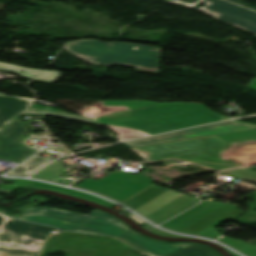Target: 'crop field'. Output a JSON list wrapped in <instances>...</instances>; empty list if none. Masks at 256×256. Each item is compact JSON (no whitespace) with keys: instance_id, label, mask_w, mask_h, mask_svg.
Wrapping results in <instances>:
<instances>
[{"instance_id":"1","label":"crop field","mask_w":256,"mask_h":256,"mask_svg":"<svg viewBox=\"0 0 256 256\" xmlns=\"http://www.w3.org/2000/svg\"><path fill=\"white\" fill-rule=\"evenodd\" d=\"M103 103L104 106H124L128 110L110 113L93 120L103 125L138 131L118 136L116 139L119 141L222 120L202 104L153 103L151 101Z\"/></svg>"},{"instance_id":"2","label":"crop field","mask_w":256,"mask_h":256,"mask_svg":"<svg viewBox=\"0 0 256 256\" xmlns=\"http://www.w3.org/2000/svg\"><path fill=\"white\" fill-rule=\"evenodd\" d=\"M20 219L53 225L59 229L115 236L123 242L157 256H165L191 244H166L147 239L130 230L116 218L95 210L88 215L54 208H27Z\"/></svg>"},{"instance_id":"3","label":"crop field","mask_w":256,"mask_h":256,"mask_svg":"<svg viewBox=\"0 0 256 256\" xmlns=\"http://www.w3.org/2000/svg\"><path fill=\"white\" fill-rule=\"evenodd\" d=\"M245 140H256V130L215 137L154 144L136 147V149H142L150 153V158L147 162L178 159L220 171L242 166V164L236 160H222L219 154L227 144Z\"/></svg>"},{"instance_id":"4","label":"crop field","mask_w":256,"mask_h":256,"mask_svg":"<svg viewBox=\"0 0 256 256\" xmlns=\"http://www.w3.org/2000/svg\"><path fill=\"white\" fill-rule=\"evenodd\" d=\"M64 50L94 65L130 66L136 67L137 72L152 74L159 73L162 52V49L157 47L100 41L71 43L67 44Z\"/></svg>"},{"instance_id":"5","label":"crop field","mask_w":256,"mask_h":256,"mask_svg":"<svg viewBox=\"0 0 256 256\" xmlns=\"http://www.w3.org/2000/svg\"><path fill=\"white\" fill-rule=\"evenodd\" d=\"M198 202L183 193L150 186L123 204L159 224Z\"/></svg>"},{"instance_id":"6","label":"crop field","mask_w":256,"mask_h":256,"mask_svg":"<svg viewBox=\"0 0 256 256\" xmlns=\"http://www.w3.org/2000/svg\"><path fill=\"white\" fill-rule=\"evenodd\" d=\"M78 182L80 180L72 186H75ZM151 184H153V181L143 174L133 175L123 171L109 173L101 180L87 179L76 187L92 190L123 203Z\"/></svg>"},{"instance_id":"7","label":"crop field","mask_w":256,"mask_h":256,"mask_svg":"<svg viewBox=\"0 0 256 256\" xmlns=\"http://www.w3.org/2000/svg\"><path fill=\"white\" fill-rule=\"evenodd\" d=\"M51 227L34 225L0 215V246L39 252Z\"/></svg>"},{"instance_id":"8","label":"crop field","mask_w":256,"mask_h":256,"mask_svg":"<svg viewBox=\"0 0 256 256\" xmlns=\"http://www.w3.org/2000/svg\"><path fill=\"white\" fill-rule=\"evenodd\" d=\"M253 129H256L255 124H247L241 121L232 120V121L221 122V123L181 130L177 132L147 137L143 139L128 141L124 143L130 147H136V146L161 143V142L229 134V133H235V132H241V131H247V130H253Z\"/></svg>"},{"instance_id":"9","label":"crop field","mask_w":256,"mask_h":256,"mask_svg":"<svg viewBox=\"0 0 256 256\" xmlns=\"http://www.w3.org/2000/svg\"><path fill=\"white\" fill-rule=\"evenodd\" d=\"M202 2L206 5L197 10L256 34V12L224 0H203Z\"/></svg>"},{"instance_id":"10","label":"crop field","mask_w":256,"mask_h":256,"mask_svg":"<svg viewBox=\"0 0 256 256\" xmlns=\"http://www.w3.org/2000/svg\"><path fill=\"white\" fill-rule=\"evenodd\" d=\"M28 133L29 129L19 117L1 130L0 157L22 161L36 153V151L19 143Z\"/></svg>"},{"instance_id":"11","label":"crop field","mask_w":256,"mask_h":256,"mask_svg":"<svg viewBox=\"0 0 256 256\" xmlns=\"http://www.w3.org/2000/svg\"><path fill=\"white\" fill-rule=\"evenodd\" d=\"M223 204L224 203L203 202L161 226L179 232Z\"/></svg>"},{"instance_id":"12","label":"crop field","mask_w":256,"mask_h":256,"mask_svg":"<svg viewBox=\"0 0 256 256\" xmlns=\"http://www.w3.org/2000/svg\"><path fill=\"white\" fill-rule=\"evenodd\" d=\"M220 156L222 159H237L243 166L256 164V141L227 145Z\"/></svg>"},{"instance_id":"13","label":"crop field","mask_w":256,"mask_h":256,"mask_svg":"<svg viewBox=\"0 0 256 256\" xmlns=\"http://www.w3.org/2000/svg\"><path fill=\"white\" fill-rule=\"evenodd\" d=\"M32 99L0 96V128L15 118Z\"/></svg>"},{"instance_id":"14","label":"crop field","mask_w":256,"mask_h":256,"mask_svg":"<svg viewBox=\"0 0 256 256\" xmlns=\"http://www.w3.org/2000/svg\"><path fill=\"white\" fill-rule=\"evenodd\" d=\"M65 172H67V171L64 169L63 163L56 161V162L48 165L46 168H44L42 171H40L36 175L34 174L35 175L34 177L44 178V179H47L50 181L69 185L72 183V181L58 178Z\"/></svg>"},{"instance_id":"15","label":"crop field","mask_w":256,"mask_h":256,"mask_svg":"<svg viewBox=\"0 0 256 256\" xmlns=\"http://www.w3.org/2000/svg\"><path fill=\"white\" fill-rule=\"evenodd\" d=\"M52 160L42 158L38 155L32 157L31 159L25 161L24 163L20 164L13 170H11L7 174H19V175H27L29 176L32 174L34 171L39 169L40 167L44 166L48 162Z\"/></svg>"},{"instance_id":"16","label":"crop field","mask_w":256,"mask_h":256,"mask_svg":"<svg viewBox=\"0 0 256 256\" xmlns=\"http://www.w3.org/2000/svg\"><path fill=\"white\" fill-rule=\"evenodd\" d=\"M29 187L56 190V191L68 193V194H71V195L87 198V199L96 201L98 203H101V204H104V205H107V206H110V207L115 206V204L108 203V202H106V201H104L100 198H96V197H93V196H90V195H87V194H84V193H81V192H77V191H73V190H69V189H65V188H61V187H57V186H53V185H49V184H44L42 182L33 181Z\"/></svg>"},{"instance_id":"17","label":"crop field","mask_w":256,"mask_h":256,"mask_svg":"<svg viewBox=\"0 0 256 256\" xmlns=\"http://www.w3.org/2000/svg\"><path fill=\"white\" fill-rule=\"evenodd\" d=\"M168 256H217V255L204 246L193 244L187 248H184L178 252H174Z\"/></svg>"},{"instance_id":"18","label":"crop field","mask_w":256,"mask_h":256,"mask_svg":"<svg viewBox=\"0 0 256 256\" xmlns=\"http://www.w3.org/2000/svg\"><path fill=\"white\" fill-rule=\"evenodd\" d=\"M218 240L236 248L237 250L243 252L248 256H256V245H252L250 243H247L241 240L227 238L225 236L221 237Z\"/></svg>"},{"instance_id":"19","label":"crop field","mask_w":256,"mask_h":256,"mask_svg":"<svg viewBox=\"0 0 256 256\" xmlns=\"http://www.w3.org/2000/svg\"><path fill=\"white\" fill-rule=\"evenodd\" d=\"M25 113H29V114L42 113V114L57 116V117H61V118H65V119H70V120H74V121L84 122V123H90V124H94L95 123L94 121H92L90 119H86L84 117H79L77 115H71V114H65V113L41 110V109H36V108H30Z\"/></svg>"},{"instance_id":"20","label":"crop field","mask_w":256,"mask_h":256,"mask_svg":"<svg viewBox=\"0 0 256 256\" xmlns=\"http://www.w3.org/2000/svg\"><path fill=\"white\" fill-rule=\"evenodd\" d=\"M124 109H126V108H124V107H104L102 102H99L81 115H83L87 118H94V117H98V116H101V115H104V114H107L110 112L124 110Z\"/></svg>"},{"instance_id":"21","label":"crop field","mask_w":256,"mask_h":256,"mask_svg":"<svg viewBox=\"0 0 256 256\" xmlns=\"http://www.w3.org/2000/svg\"><path fill=\"white\" fill-rule=\"evenodd\" d=\"M231 176L239 177L244 180L256 182V171H250L246 168L236 169L232 171L220 172Z\"/></svg>"},{"instance_id":"22","label":"crop field","mask_w":256,"mask_h":256,"mask_svg":"<svg viewBox=\"0 0 256 256\" xmlns=\"http://www.w3.org/2000/svg\"><path fill=\"white\" fill-rule=\"evenodd\" d=\"M167 1H171V2L192 8V7L196 6L198 3H200L202 0H167ZM226 1L238 4V5L248 8L250 10L256 11V7H252L250 5L242 3V2H240V0H226Z\"/></svg>"},{"instance_id":"23","label":"crop field","mask_w":256,"mask_h":256,"mask_svg":"<svg viewBox=\"0 0 256 256\" xmlns=\"http://www.w3.org/2000/svg\"><path fill=\"white\" fill-rule=\"evenodd\" d=\"M226 220H228V219L223 218L222 220L216 222L215 224L209 226L208 228L202 230L201 232H199L197 234L216 239V238H218V237H220L222 235L214 227L219 225L220 223L226 221Z\"/></svg>"},{"instance_id":"24","label":"crop field","mask_w":256,"mask_h":256,"mask_svg":"<svg viewBox=\"0 0 256 256\" xmlns=\"http://www.w3.org/2000/svg\"><path fill=\"white\" fill-rule=\"evenodd\" d=\"M128 217H130L131 219L135 220L137 223L144 225L143 227H145L146 229H148V230H150V231H152V232H154L156 234H159V235H162V236H168V237H184V236L171 235V234H167V233H164L162 231H159V230H157L154 227L150 226L149 224L144 222L142 219H140L139 217H137V216H135L133 214L128 215Z\"/></svg>"},{"instance_id":"25","label":"crop field","mask_w":256,"mask_h":256,"mask_svg":"<svg viewBox=\"0 0 256 256\" xmlns=\"http://www.w3.org/2000/svg\"><path fill=\"white\" fill-rule=\"evenodd\" d=\"M62 74H59L57 71H44L35 79L37 81L43 82H54L57 78L61 77Z\"/></svg>"},{"instance_id":"26","label":"crop field","mask_w":256,"mask_h":256,"mask_svg":"<svg viewBox=\"0 0 256 256\" xmlns=\"http://www.w3.org/2000/svg\"><path fill=\"white\" fill-rule=\"evenodd\" d=\"M0 66L18 70V71H22L24 73L32 74V75H36L38 72L41 71V70L35 69V68H26V67H21V66L9 64V63H4V62H0Z\"/></svg>"},{"instance_id":"27","label":"crop field","mask_w":256,"mask_h":256,"mask_svg":"<svg viewBox=\"0 0 256 256\" xmlns=\"http://www.w3.org/2000/svg\"><path fill=\"white\" fill-rule=\"evenodd\" d=\"M109 128H111L112 130L120 133V134H123V133H128V132H134V131H131V130H127V129H123V128H118V127H114V126H107Z\"/></svg>"},{"instance_id":"28","label":"crop field","mask_w":256,"mask_h":256,"mask_svg":"<svg viewBox=\"0 0 256 256\" xmlns=\"http://www.w3.org/2000/svg\"><path fill=\"white\" fill-rule=\"evenodd\" d=\"M0 70L8 71V72H13V73H17V74H19V75H21V76H24V77H27V78H30V79H32V78L34 77V76H32V75H26V74H23V73H21V72L14 71V70H10V69H6V68H2V67H0Z\"/></svg>"},{"instance_id":"29","label":"crop field","mask_w":256,"mask_h":256,"mask_svg":"<svg viewBox=\"0 0 256 256\" xmlns=\"http://www.w3.org/2000/svg\"><path fill=\"white\" fill-rule=\"evenodd\" d=\"M135 151L138 152L140 155H142L144 157L145 161L149 158V154L148 153L143 152L141 150H135Z\"/></svg>"},{"instance_id":"30","label":"crop field","mask_w":256,"mask_h":256,"mask_svg":"<svg viewBox=\"0 0 256 256\" xmlns=\"http://www.w3.org/2000/svg\"><path fill=\"white\" fill-rule=\"evenodd\" d=\"M0 256H26V255H19V254H2V253H0Z\"/></svg>"},{"instance_id":"31","label":"crop field","mask_w":256,"mask_h":256,"mask_svg":"<svg viewBox=\"0 0 256 256\" xmlns=\"http://www.w3.org/2000/svg\"><path fill=\"white\" fill-rule=\"evenodd\" d=\"M0 159L9 160V159H5V158H0ZM9 161H14V160H9ZM15 162H18V161H15Z\"/></svg>"},{"instance_id":"32","label":"crop field","mask_w":256,"mask_h":256,"mask_svg":"<svg viewBox=\"0 0 256 256\" xmlns=\"http://www.w3.org/2000/svg\"><path fill=\"white\" fill-rule=\"evenodd\" d=\"M231 253H232V252H231ZM232 255H233V256H238V255H236V254H234V253H232Z\"/></svg>"},{"instance_id":"33","label":"crop field","mask_w":256,"mask_h":256,"mask_svg":"<svg viewBox=\"0 0 256 256\" xmlns=\"http://www.w3.org/2000/svg\"><path fill=\"white\" fill-rule=\"evenodd\" d=\"M149 255V254H148ZM149 256H152V255H149Z\"/></svg>"},{"instance_id":"34","label":"crop field","mask_w":256,"mask_h":256,"mask_svg":"<svg viewBox=\"0 0 256 256\" xmlns=\"http://www.w3.org/2000/svg\"><path fill=\"white\" fill-rule=\"evenodd\" d=\"M0 94H3V93H0Z\"/></svg>"}]
</instances>
